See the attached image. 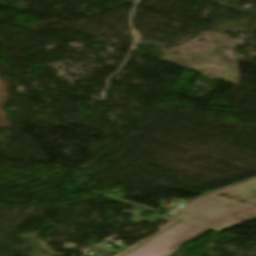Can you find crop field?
<instances>
[{
	"label": "crop field",
	"instance_id": "crop-field-1",
	"mask_svg": "<svg viewBox=\"0 0 256 256\" xmlns=\"http://www.w3.org/2000/svg\"><path fill=\"white\" fill-rule=\"evenodd\" d=\"M173 218L212 230L256 218V180L195 200Z\"/></svg>",
	"mask_w": 256,
	"mask_h": 256
},
{
	"label": "crop field",
	"instance_id": "crop-field-2",
	"mask_svg": "<svg viewBox=\"0 0 256 256\" xmlns=\"http://www.w3.org/2000/svg\"><path fill=\"white\" fill-rule=\"evenodd\" d=\"M208 231L187 223H179L126 256H167Z\"/></svg>",
	"mask_w": 256,
	"mask_h": 256
},
{
	"label": "crop field",
	"instance_id": "crop-field-3",
	"mask_svg": "<svg viewBox=\"0 0 256 256\" xmlns=\"http://www.w3.org/2000/svg\"><path fill=\"white\" fill-rule=\"evenodd\" d=\"M144 211H145V210L138 209V210H136V211H134V212H127V211H122V212H123V213H129V214L134 215L135 217L132 218V219H130V220H131L132 222H136V223H138V222H140V221H147V222L154 223V222H156L157 220H159V219L162 218V216H159V215L154 214V215H152L151 217L145 219V218L139 216V215L142 214Z\"/></svg>",
	"mask_w": 256,
	"mask_h": 256
},
{
	"label": "crop field",
	"instance_id": "crop-field-4",
	"mask_svg": "<svg viewBox=\"0 0 256 256\" xmlns=\"http://www.w3.org/2000/svg\"><path fill=\"white\" fill-rule=\"evenodd\" d=\"M164 220L169 221V222H171V223L168 224V225H166L165 227L159 229V230H161L160 232H162V231L165 230L166 228L172 226L173 224L179 222V221H177V220H173V219H170V218H168V217H166ZM166 230H167V229H166ZM160 232L156 233L155 235L149 237L148 239H146V240H144V241L141 240V241L137 242V243L134 244L133 246L129 247L128 249L124 250L123 252H121V253H119V254H117V255H115V256H122V255L126 254V253L129 252L130 250H132V249H134L135 247H137V246L143 244L144 242L148 241L149 239H151L152 237L156 236V235L159 234Z\"/></svg>",
	"mask_w": 256,
	"mask_h": 256
}]
</instances>
